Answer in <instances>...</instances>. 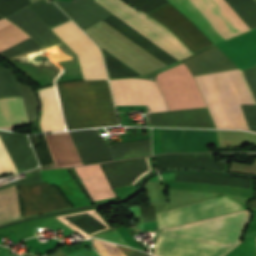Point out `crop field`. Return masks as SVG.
Here are the masks:
<instances>
[{"label":"crop field","instance_id":"crop-field-27","mask_svg":"<svg viewBox=\"0 0 256 256\" xmlns=\"http://www.w3.org/2000/svg\"><path fill=\"white\" fill-rule=\"evenodd\" d=\"M144 223L156 221L154 206L142 208Z\"/></svg>","mask_w":256,"mask_h":256},{"label":"crop field","instance_id":"crop-field-31","mask_svg":"<svg viewBox=\"0 0 256 256\" xmlns=\"http://www.w3.org/2000/svg\"><path fill=\"white\" fill-rule=\"evenodd\" d=\"M0 19H2V18L0 17Z\"/></svg>","mask_w":256,"mask_h":256},{"label":"crop field","instance_id":"crop-field-14","mask_svg":"<svg viewBox=\"0 0 256 256\" xmlns=\"http://www.w3.org/2000/svg\"><path fill=\"white\" fill-rule=\"evenodd\" d=\"M152 126L214 127L205 109L150 113Z\"/></svg>","mask_w":256,"mask_h":256},{"label":"crop field","instance_id":"crop-field-19","mask_svg":"<svg viewBox=\"0 0 256 256\" xmlns=\"http://www.w3.org/2000/svg\"><path fill=\"white\" fill-rule=\"evenodd\" d=\"M38 91H39V94H40V97L42 100V119L40 122L42 131L48 132V131H52V129H53V131L63 130L64 125H63V121H62V117H61V113H60L54 86L43 89L49 116H50L52 129H51L50 121H49V116H48V112H47V108H46V104H45L43 91H42V89H40Z\"/></svg>","mask_w":256,"mask_h":256},{"label":"crop field","instance_id":"crop-field-7","mask_svg":"<svg viewBox=\"0 0 256 256\" xmlns=\"http://www.w3.org/2000/svg\"><path fill=\"white\" fill-rule=\"evenodd\" d=\"M84 164L151 152V139L106 145L97 129L70 132Z\"/></svg>","mask_w":256,"mask_h":256},{"label":"crop field","instance_id":"crop-field-17","mask_svg":"<svg viewBox=\"0 0 256 256\" xmlns=\"http://www.w3.org/2000/svg\"><path fill=\"white\" fill-rule=\"evenodd\" d=\"M93 201L116 197L100 164L75 168Z\"/></svg>","mask_w":256,"mask_h":256},{"label":"crop field","instance_id":"crop-field-9","mask_svg":"<svg viewBox=\"0 0 256 256\" xmlns=\"http://www.w3.org/2000/svg\"><path fill=\"white\" fill-rule=\"evenodd\" d=\"M241 209L239 203L223 197L161 212L157 214V219L159 227L162 228L201 220Z\"/></svg>","mask_w":256,"mask_h":256},{"label":"crop field","instance_id":"crop-field-16","mask_svg":"<svg viewBox=\"0 0 256 256\" xmlns=\"http://www.w3.org/2000/svg\"><path fill=\"white\" fill-rule=\"evenodd\" d=\"M182 63L188 67L193 76L237 68L216 46Z\"/></svg>","mask_w":256,"mask_h":256},{"label":"crop field","instance_id":"crop-field-5","mask_svg":"<svg viewBox=\"0 0 256 256\" xmlns=\"http://www.w3.org/2000/svg\"><path fill=\"white\" fill-rule=\"evenodd\" d=\"M21 84L30 122L38 118V98L28 84ZM15 73L0 65V98L23 96ZM23 97L0 99V129L11 131L13 127L31 126Z\"/></svg>","mask_w":256,"mask_h":256},{"label":"crop field","instance_id":"crop-field-24","mask_svg":"<svg viewBox=\"0 0 256 256\" xmlns=\"http://www.w3.org/2000/svg\"><path fill=\"white\" fill-rule=\"evenodd\" d=\"M37 48H41V46L38 43H36L34 40L29 38L13 47L1 52L0 56L6 58V57L24 53V52H27L30 50H34Z\"/></svg>","mask_w":256,"mask_h":256},{"label":"crop field","instance_id":"crop-field-28","mask_svg":"<svg viewBox=\"0 0 256 256\" xmlns=\"http://www.w3.org/2000/svg\"><path fill=\"white\" fill-rule=\"evenodd\" d=\"M92 252L95 254V256H99L94 250H92ZM92 252L91 251L88 252L87 249H85L71 256H94Z\"/></svg>","mask_w":256,"mask_h":256},{"label":"crop field","instance_id":"crop-field-13","mask_svg":"<svg viewBox=\"0 0 256 256\" xmlns=\"http://www.w3.org/2000/svg\"><path fill=\"white\" fill-rule=\"evenodd\" d=\"M217 46L242 69L256 65V30L219 43Z\"/></svg>","mask_w":256,"mask_h":256},{"label":"crop field","instance_id":"crop-field-12","mask_svg":"<svg viewBox=\"0 0 256 256\" xmlns=\"http://www.w3.org/2000/svg\"><path fill=\"white\" fill-rule=\"evenodd\" d=\"M112 188L133 185L151 171L147 157L101 164Z\"/></svg>","mask_w":256,"mask_h":256},{"label":"crop field","instance_id":"crop-field-22","mask_svg":"<svg viewBox=\"0 0 256 256\" xmlns=\"http://www.w3.org/2000/svg\"><path fill=\"white\" fill-rule=\"evenodd\" d=\"M29 38L23 31L8 21L0 20V51Z\"/></svg>","mask_w":256,"mask_h":256},{"label":"crop field","instance_id":"crop-field-2","mask_svg":"<svg viewBox=\"0 0 256 256\" xmlns=\"http://www.w3.org/2000/svg\"><path fill=\"white\" fill-rule=\"evenodd\" d=\"M249 219L247 211L163 229L159 236L229 252L241 239ZM158 237L157 256H223L226 252Z\"/></svg>","mask_w":256,"mask_h":256},{"label":"crop field","instance_id":"crop-field-26","mask_svg":"<svg viewBox=\"0 0 256 256\" xmlns=\"http://www.w3.org/2000/svg\"><path fill=\"white\" fill-rule=\"evenodd\" d=\"M96 237H99L101 239H105L108 241H112L118 244H122L125 246H129L127 242L124 240V238L119 234V232L115 229L109 232H106L104 234L98 235Z\"/></svg>","mask_w":256,"mask_h":256},{"label":"crop field","instance_id":"crop-field-15","mask_svg":"<svg viewBox=\"0 0 256 256\" xmlns=\"http://www.w3.org/2000/svg\"><path fill=\"white\" fill-rule=\"evenodd\" d=\"M7 19L28 33L43 47L63 42L28 7L8 17Z\"/></svg>","mask_w":256,"mask_h":256},{"label":"crop field","instance_id":"crop-field-10","mask_svg":"<svg viewBox=\"0 0 256 256\" xmlns=\"http://www.w3.org/2000/svg\"><path fill=\"white\" fill-rule=\"evenodd\" d=\"M18 189L23 217L70 206L56 188L44 182L19 185Z\"/></svg>","mask_w":256,"mask_h":256},{"label":"crop field","instance_id":"crop-field-21","mask_svg":"<svg viewBox=\"0 0 256 256\" xmlns=\"http://www.w3.org/2000/svg\"><path fill=\"white\" fill-rule=\"evenodd\" d=\"M28 7L31 8L50 28L69 21L53 2L47 4L42 0L33 3Z\"/></svg>","mask_w":256,"mask_h":256},{"label":"crop field","instance_id":"crop-field-11","mask_svg":"<svg viewBox=\"0 0 256 256\" xmlns=\"http://www.w3.org/2000/svg\"><path fill=\"white\" fill-rule=\"evenodd\" d=\"M0 137L17 170L35 167V158L26 136L1 133ZM0 139V175L12 171L18 173Z\"/></svg>","mask_w":256,"mask_h":256},{"label":"crop field","instance_id":"crop-field-23","mask_svg":"<svg viewBox=\"0 0 256 256\" xmlns=\"http://www.w3.org/2000/svg\"><path fill=\"white\" fill-rule=\"evenodd\" d=\"M93 244L101 256H150L143 252L115 244L124 255L113 243L105 241L93 240Z\"/></svg>","mask_w":256,"mask_h":256},{"label":"crop field","instance_id":"crop-field-25","mask_svg":"<svg viewBox=\"0 0 256 256\" xmlns=\"http://www.w3.org/2000/svg\"><path fill=\"white\" fill-rule=\"evenodd\" d=\"M31 4L30 0H0V15H7Z\"/></svg>","mask_w":256,"mask_h":256},{"label":"crop field","instance_id":"crop-field-8","mask_svg":"<svg viewBox=\"0 0 256 256\" xmlns=\"http://www.w3.org/2000/svg\"><path fill=\"white\" fill-rule=\"evenodd\" d=\"M64 25L88 49L92 57L96 78L107 79L102 56L95 44L71 21ZM64 25L52 28V30L78 55L84 79H96L87 49L65 28Z\"/></svg>","mask_w":256,"mask_h":256},{"label":"crop field","instance_id":"crop-field-4","mask_svg":"<svg viewBox=\"0 0 256 256\" xmlns=\"http://www.w3.org/2000/svg\"><path fill=\"white\" fill-rule=\"evenodd\" d=\"M195 78L217 128L247 129L239 104L254 103L238 70Z\"/></svg>","mask_w":256,"mask_h":256},{"label":"crop field","instance_id":"crop-field-1","mask_svg":"<svg viewBox=\"0 0 256 256\" xmlns=\"http://www.w3.org/2000/svg\"><path fill=\"white\" fill-rule=\"evenodd\" d=\"M134 7L148 13L168 1L189 18L214 44L249 30L247 25L225 2V0H126ZM167 4L150 13L172 30L194 53L213 43L174 6Z\"/></svg>","mask_w":256,"mask_h":256},{"label":"crop field","instance_id":"crop-field-3","mask_svg":"<svg viewBox=\"0 0 256 256\" xmlns=\"http://www.w3.org/2000/svg\"><path fill=\"white\" fill-rule=\"evenodd\" d=\"M68 130L118 125L107 81L57 85Z\"/></svg>","mask_w":256,"mask_h":256},{"label":"crop field","instance_id":"crop-field-20","mask_svg":"<svg viewBox=\"0 0 256 256\" xmlns=\"http://www.w3.org/2000/svg\"><path fill=\"white\" fill-rule=\"evenodd\" d=\"M16 185L0 191V222L20 218Z\"/></svg>","mask_w":256,"mask_h":256},{"label":"crop field","instance_id":"crop-field-18","mask_svg":"<svg viewBox=\"0 0 256 256\" xmlns=\"http://www.w3.org/2000/svg\"><path fill=\"white\" fill-rule=\"evenodd\" d=\"M45 136L56 166L83 165L68 132Z\"/></svg>","mask_w":256,"mask_h":256},{"label":"crop field","instance_id":"crop-field-6","mask_svg":"<svg viewBox=\"0 0 256 256\" xmlns=\"http://www.w3.org/2000/svg\"><path fill=\"white\" fill-rule=\"evenodd\" d=\"M95 1L178 60L192 55L171 31L149 16L130 8L120 0Z\"/></svg>","mask_w":256,"mask_h":256},{"label":"crop field","instance_id":"crop-field-30","mask_svg":"<svg viewBox=\"0 0 256 256\" xmlns=\"http://www.w3.org/2000/svg\"><path fill=\"white\" fill-rule=\"evenodd\" d=\"M250 208H256V199L250 203Z\"/></svg>","mask_w":256,"mask_h":256},{"label":"crop field","instance_id":"crop-field-29","mask_svg":"<svg viewBox=\"0 0 256 256\" xmlns=\"http://www.w3.org/2000/svg\"><path fill=\"white\" fill-rule=\"evenodd\" d=\"M49 256H66V254L62 251V249H58L57 251L53 252Z\"/></svg>","mask_w":256,"mask_h":256}]
</instances>
